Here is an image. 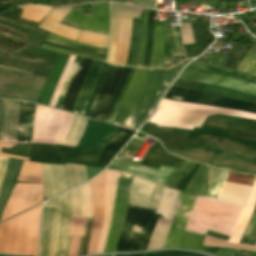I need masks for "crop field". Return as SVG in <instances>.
<instances>
[{
	"mask_svg": "<svg viewBox=\"0 0 256 256\" xmlns=\"http://www.w3.org/2000/svg\"><path fill=\"white\" fill-rule=\"evenodd\" d=\"M46 205L57 206V210H56V214H55V220H54V227H53L51 251H50V256H54L55 255V245H56L58 219H59V213H60V196L51 200V201H49Z\"/></svg>",
	"mask_w": 256,
	"mask_h": 256,
	"instance_id": "crop-field-42",
	"label": "crop field"
},
{
	"mask_svg": "<svg viewBox=\"0 0 256 256\" xmlns=\"http://www.w3.org/2000/svg\"><path fill=\"white\" fill-rule=\"evenodd\" d=\"M46 41L53 42V43L60 44V45H64V46H68V47H72V48H76V49H80V50H84V51L97 52V53H103V54L106 53V52H104V51H98V50H92V49H86V48L75 47V46H73V45H68V44L60 43V42L53 41V40H49V39H46Z\"/></svg>",
	"mask_w": 256,
	"mask_h": 256,
	"instance_id": "crop-field-57",
	"label": "crop field"
},
{
	"mask_svg": "<svg viewBox=\"0 0 256 256\" xmlns=\"http://www.w3.org/2000/svg\"><path fill=\"white\" fill-rule=\"evenodd\" d=\"M35 105L20 102L18 112L17 143H30Z\"/></svg>",
	"mask_w": 256,
	"mask_h": 256,
	"instance_id": "crop-field-23",
	"label": "crop field"
},
{
	"mask_svg": "<svg viewBox=\"0 0 256 256\" xmlns=\"http://www.w3.org/2000/svg\"><path fill=\"white\" fill-rule=\"evenodd\" d=\"M163 186L156 184L150 198L131 192L129 204L155 210L160 200ZM128 206V211L120 234L116 252L145 250L158 217L155 211Z\"/></svg>",
	"mask_w": 256,
	"mask_h": 256,
	"instance_id": "crop-field-2",
	"label": "crop field"
},
{
	"mask_svg": "<svg viewBox=\"0 0 256 256\" xmlns=\"http://www.w3.org/2000/svg\"><path fill=\"white\" fill-rule=\"evenodd\" d=\"M87 174H88V179L96 176L100 171L103 170V168H94V167H89L86 166Z\"/></svg>",
	"mask_w": 256,
	"mask_h": 256,
	"instance_id": "crop-field-58",
	"label": "crop field"
},
{
	"mask_svg": "<svg viewBox=\"0 0 256 256\" xmlns=\"http://www.w3.org/2000/svg\"><path fill=\"white\" fill-rule=\"evenodd\" d=\"M72 216L92 218V204L88 183L69 191Z\"/></svg>",
	"mask_w": 256,
	"mask_h": 256,
	"instance_id": "crop-field-22",
	"label": "crop field"
},
{
	"mask_svg": "<svg viewBox=\"0 0 256 256\" xmlns=\"http://www.w3.org/2000/svg\"><path fill=\"white\" fill-rule=\"evenodd\" d=\"M118 171L113 170H106V210H105V220H104V227L100 239V243L98 246V250L96 254H100L104 252L110 223L113 211V202H114V194L117 185L118 179Z\"/></svg>",
	"mask_w": 256,
	"mask_h": 256,
	"instance_id": "crop-field-18",
	"label": "crop field"
},
{
	"mask_svg": "<svg viewBox=\"0 0 256 256\" xmlns=\"http://www.w3.org/2000/svg\"><path fill=\"white\" fill-rule=\"evenodd\" d=\"M166 99L179 100L185 102H194L200 104L213 105L217 107L232 108L256 113V104L244 103L232 100L226 97L210 95L201 92H195L180 87L172 86L168 93L165 95ZM200 100L207 101L206 103Z\"/></svg>",
	"mask_w": 256,
	"mask_h": 256,
	"instance_id": "crop-field-12",
	"label": "crop field"
},
{
	"mask_svg": "<svg viewBox=\"0 0 256 256\" xmlns=\"http://www.w3.org/2000/svg\"><path fill=\"white\" fill-rule=\"evenodd\" d=\"M108 256H112V255H108Z\"/></svg>",
	"mask_w": 256,
	"mask_h": 256,
	"instance_id": "crop-field-66",
	"label": "crop field"
},
{
	"mask_svg": "<svg viewBox=\"0 0 256 256\" xmlns=\"http://www.w3.org/2000/svg\"><path fill=\"white\" fill-rule=\"evenodd\" d=\"M164 52V36L162 26H154L153 47L151 53L150 67L162 68Z\"/></svg>",
	"mask_w": 256,
	"mask_h": 256,
	"instance_id": "crop-field-30",
	"label": "crop field"
},
{
	"mask_svg": "<svg viewBox=\"0 0 256 256\" xmlns=\"http://www.w3.org/2000/svg\"><path fill=\"white\" fill-rule=\"evenodd\" d=\"M132 18L111 17L109 50L106 62L125 65Z\"/></svg>",
	"mask_w": 256,
	"mask_h": 256,
	"instance_id": "crop-field-13",
	"label": "crop field"
},
{
	"mask_svg": "<svg viewBox=\"0 0 256 256\" xmlns=\"http://www.w3.org/2000/svg\"><path fill=\"white\" fill-rule=\"evenodd\" d=\"M19 101L2 100L0 141L16 143Z\"/></svg>",
	"mask_w": 256,
	"mask_h": 256,
	"instance_id": "crop-field-17",
	"label": "crop field"
},
{
	"mask_svg": "<svg viewBox=\"0 0 256 256\" xmlns=\"http://www.w3.org/2000/svg\"><path fill=\"white\" fill-rule=\"evenodd\" d=\"M184 63L167 70L136 68L112 123L137 130Z\"/></svg>",
	"mask_w": 256,
	"mask_h": 256,
	"instance_id": "crop-field-1",
	"label": "crop field"
},
{
	"mask_svg": "<svg viewBox=\"0 0 256 256\" xmlns=\"http://www.w3.org/2000/svg\"><path fill=\"white\" fill-rule=\"evenodd\" d=\"M242 209L198 196L186 230L203 234L209 230L230 236Z\"/></svg>",
	"mask_w": 256,
	"mask_h": 256,
	"instance_id": "crop-field-4",
	"label": "crop field"
},
{
	"mask_svg": "<svg viewBox=\"0 0 256 256\" xmlns=\"http://www.w3.org/2000/svg\"><path fill=\"white\" fill-rule=\"evenodd\" d=\"M79 239H80V236H71L69 250H68V256H76L77 255Z\"/></svg>",
	"mask_w": 256,
	"mask_h": 256,
	"instance_id": "crop-field-53",
	"label": "crop field"
},
{
	"mask_svg": "<svg viewBox=\"0 0 256 256\" xmlns=\"http://www.w3.org/2000/svg\"><path fill=\"white\" fill-rule=\"evenodd\" d=\"M55 209L56 208H50L46 206L44 208L42 224H41V241H40L41 256H49Z\"/></svg>",
	"mask_w": 256,
	"mask_h": 256,
	"instance_id": "crop-field-29",
	"label": "crop field"
},
{
	"mask_svg": "<svg viewBox=\"0 0 256 256\" xmlns=\"http://www.w3.org/2000/svg\"><path fill=\"white\" fill-rule=\"evenodd\" d=\"M233 249L220 248L218 256H232Z\"/></svg>",
	"mask_w": 256,
	"mask_h": 256,
	"instance_id": "crop-field-62",
	"label": "crop field"
},
{
	"mask_svg": "<svg viewBox=\"0 0 256 256\" xmlns=\"http://www.w3.org/2000/svg\"><path fill=\"white\" fill-rule=\"evenodd\" d=\"M69 189L87 181L85 166L65 164Z\"/></svg>",
	"mask_w": 256,
	"mask_h": 256,
	"instance_id": "crop-field-34",
	"label": "crop field"
},
{
	"mask_svg": "<svg viewBox=\"0 0 256 256\" xmlns=\"http://www.w3.org/2000/svg\"><path fill=\"white\" fill-rule=\"evenodd\" d=\"M228 171L229 170L210 167L207 180L208 188L206 189V193L204 196L214 199L216 198Z\"/></svg>",
	"mask_w": 256,
	"mask_h": 256,
	"instance_id": "crop-field-31",
	"label": "crop field"
},
{
	"mask_svg": "<svg viewBox=\"0 0 256 256\" xmlns=\"http://www.w3.org/2000/svg\"><path fill=\"white\" fill-rule=\"evenodd\" d=\"M49 37H50V38H53V39H55V40H58V41H62V42H66V43H70V44H74V45H79V46H84V47L93 48V49H98V50H104V51L107 50V49H103V48H97V47H92V46H86V45L77 44V43H74V42H71V41H68V40L59 38V37H55V36H52V35H49Z\"/></svg>",
	"mask_w": 256,
	"mask_h": 256,
	"instance_id": "crop-field-59",
	"label": "crop field"
},
{
	"mask_svg": "<svg viewBox=\"0 0 256 256\" xmlns=\"http://www.w3.org/2000/svg\"><path fill=\"white\" fill-rule=\"evenodd\" d=\"M160 104L201 110V111H208V112H214V113H220V114H226V115L256 120V114H253V113L236 111V110H227V109L217 108L213 106L187 104V103L175 102V101H170L165 99H162ZM162 105L158 106L154 115L148 120V122L156 123L158 124V126H164V127H179V128L192 129L193 127H200V125L206 119L207 115L214 114V113L181 109V108L168 107V106H162Z\"/></svg>",
	"mask_w": 256,
	"mask_h": 256,
	"instance_id": "crop-field-3",
	"label": "crop field"
},
{
	"mask_svg": "<svg viewBox=\"0 0 256 256\" xmlns=\"http://www.w3.org/2000/svg\"><path fill=\"white\" fill-rule=\"evenodd\" d=\"M181 36L183 44L194 43L193 33L189 23L181 24Z\"/></svg>",
	"mask_w": 256,
	"mask_h": 256,
	"instance_id": "crop-field-51",
	"label": "crop field"
},
{
	"mask_svg": "<svg viewBox=\"0 0 256 256\" xmlns=\"http://www.w3.org/2000/svg\"><path fill=\"white\" fill-rule=\"evenodd\" d=\"M165 36V62L164 68L174 63V55H185L180 42L179 27L163 25Z\"/></svg>",
	"mask_w": 256,
	"mask_h": 256,
	"instance_id": "crop-field-25",
	"label": "crop field"
},
{
	"mask_svg": "<svg viewBox=\"0 0 256 256\" xmlns=\"http://www.w3.org/2000/svg\"><path fill=\"white\" fill-rule=\"evenodd\" d=\"M141 11V9L112 3L110 14L117 17H139Z\"/></svg>",
	"mask_w": 256,
	"mask_h": 256,
	"instance_id": "crop-field-39",
	"label": "crop field"
},
{
	"mask_svg": "<svg viewBox=\"0 0 256 256\" xmlns=\"http://www.w3.org/2000/svg\"><path fill=\"white\" fill-rule=\"evenodd\" d=\"M146 22H147V10H144L143 30H142V36H141V42H140V48H139V54H138V59H137L136 66H142V63H143L144 49H145V39H146Z\"/></svg>",
	"mask_w": 256,
	"mask_h": 256,
	"instance_id": "crop-field-48",
	"label": "crop field"
},
{
	"mask_svg": "<svg viewBox=\"0 0 256 256\" xmlns=\"http://www.w3.org/2000/svg\"><path fill=\"white\" fill-rule=\"evenodd\" d=\"M71 218L69 193L66 192L61 195V215L59 230L57 236L56 255L66 256L70 236H67L69 222Z\"/></svg>",
	"mask_w": 256,
	"mask_h": 256,
	"instance_id": "crop-field-21",
	"label": "crop field"
},
{
	"mask_svg": "<svg viewBox=\"0 0 256 256\" xmlns=\"http://www.w3.org/2000/svg\"><path fill=\"white\" fill-rule=\"evenodd\" d=\"M216 155L210 161V165L227 167L256 174V160L237 154L215 150Z\"/></svg>",
	"mask_w": 256,
	"mask_h": 256,
	"instance_id": "crop-field-19",
	"label": "crop field"
},
{
	"mask_svg": "<svg viewBox=\"0 0 256 256\" xmlns=\"http://www.w3.org/2000/svg\"><path fill=\"white\" fill-rule=\"evenodd\" d=\"M71 9L72 7L53 8L43 19L38 29L75 41L81 30L59 24Z\"/></svg>",
	"mask_w": 256,
	"mask_h": 256,
	"instance_id": "crop-field-16",
	"label": "crop field"
},
{
	"mask_svg": "<svg viewBox=\"0 0 256 256\" xmlns=\"http://www.w3.org/2000/svg\"><path fill=\"white\" fill-rule=\"evenodd\" d=\"M44 44L45 45H49V46H54V47H59V48L67 49V50L74 51V52L84 53V54H90V55H96V56H102V57L106 56V55H103V54L83 52V51H79V50H75V49H72V48H68V47H64V46H60V45H56V44H52V43H47V42H44Z\"/></svg>",
	"mask_w": 256,
	"mask_h": 256,
	"instance_id": "crop-field-55",
	"label": "crop field"
},
{
	"mask_svg": "<svg viewBox=\"0 0 256 256\" xmlns=\"http://www.w3.org/2000/svg\"><path fill=\"white\" fill-rule=\"evenodd\" d=\"M85 126L86 119L76 115L67 140L79 141L85 130Z\"/></svg>",
	"mask_w": 256,
	"mask_h": 256,
	"instance_id": "crop-field-41",
	"label": "crop field"
},
{
	"mask_svg": "<svg viewBox=\"0 0 256 256\" xmlns=\"http://www.w3.org/2000/svg\"><path fill=\"white\" fill-rule=\"evenodd\" d=\"M91 61L92 60L90 59H81L77 70L71 80L61 109L70 112Z\"/></svg>",
	"mask_w": 256,
	"mask_h": 256,
	"instance_id": "crop-field-24",
	"label": "crop field"
},
{
	"mask_svg": "<svg viewBox=\"0 0 256 256\" xmlns=\"http://www.w3.org/2000/svg\"><path fill=\"white\" fill-rule=\"evenodd\" d=\"M23 9L21 19L39 23L41 19L51 10L49 7L43 6H26L18 7Z\"/></svg>",
	"mask_w": 256,
	"mask_h": 256,
	"instance_id": "crop-field-36",
	"label": "crop field"
},
{
	"mask_svg": "<svg viewBox=\"0 0 256 256\" xmlns=\"http://www.w3.org/2000/svg\"><path fill=\"white\" fill-rule=\"evenodd\" d=\"M79 60H80V57H77V56H76L74 62L78 63ZM77 65H78V64H75V63L72 64L71 69H70V71H69V74H68V76H67L66 82H65V84H64V87H63L62 92H61L60 95H62V96L65 95L66 90H67L68 85H69V82H70V80H71V77H72V75H73V73H74V71H75ZM62 96L59 97L58 102H57V104H56L55 107H57V108L60 107L61 102H62V100H63V98H64V97H62Z\"/></svg>",
	"mask_w": 256,
	"mask_h": 256,
	"instance_id": "crop-field-50",
	"label": "crop field"
},
{
	"mask_svg": "<svg viewBox=\"0 0 256 256\" xmlns=\"http://www.w3.org/2000/svg\"><path fill=\"white\" fill-rule=\"evenodd\" d=\"M134 69H135V68H131L130 71H129V73H128V76H127V78H126V80H125V82H124V85H123V87H122V89H121V92H120V94H119V96H118V98H117V101H116V103H115V105H114V108H113V110H112V112H111V114H110V117H109L108 121H107V122H109V123H111L112 120H113V118H114V115H115V113H116V111H117V108H118V106H119V104H120V101H121V99H122V97H123V94H124V92H125V90H126V87H127L128 83H129V80H130V78H131V76H132V73H133Z\"/></svg>",
	"mask_w": 256,
	"mask_h": 256,
	"instance_id": "crop-field-49",
	"label": "crop field"
},
{
	"mask_svg": "<svg viewBox=\"0 0 256 256\" xmlns=\"http://www.w3.org/2000/svg\"><path fill=\"white\" fill-rule=\"evenodd\" d=\"M194 164L185 160L181 169L160 165L159 170H155L114 159L108 168L131 172L174 188L176 183L191 170Z\"/></svg>",
	"mask_w": 256,
	"mask_h": 256,
	"instance_id": "crop-field-9",
	"label": "crop field"
},
{
	"mask_svg": "<svg viewBox=\"0 0 256 256\" xmlns=\"http://www.w3.org/2000/svg\"><path fill=\"white\" fill-rule=\"evenodd\" d=\"M33 141V139H32ZM55 141V140H54ZM53 140H38V139H34L33 143H50L52 144ZM54 144V142H53Z\"/></svg>",
	"mask_w": 256,
	"mask_h": 256,
	"instance_id": "crop-field-64",
	"label": "crop field"
},
{
	"mask_svg": "<svg viewBox=\"0 0 256 256\" xmlns=\"http://www.w3.org/2000/svg\"><path fill=\"white\" fill-rule=\"evenodd\" d=\"M7 159L8 158L0 157V186H1L2 179H3Z\"/></svg>",
	"mask_w": 256,
	"mask_h": 256,
	"instance_id": "crop-field-60",
	"label": "crop field"
},
{
	"mask_svg": "<svg viewBox=\"0 0 256 256\" xmlns=\"http://www.w3.org/2000/svg\"><path fill=\"white\" fill-rule=\"evenodd\" d=\"M204 236L203 234L186 231L179 248L199 251Z\"/></svg>",
	"mask_w": 256,
	"mask_h": 256,
	"instance_id": "crop-field-38",
	"label": "crop field"
},
{
	"mask_svg": "<svg viewBox=\"0 0 256 256\" xmlns=\"http://www.w3.org/2000/svg\"><path fill=\"white\" fill-rule=\"evenodd\" d=\"M238 252H239V250L234 249L233 256H238Z\"/></svg>",
	"mask_w": 256,
	"mask_h": 256,
	"instance_id": "crop-field-65",
	"label": "crop field"
},
{
	"mask_svg": "<svg viewBox=\"0 0 256 256\" xmlns=\"http://www.w3.org/2000/svg\"><path fill=\"white\" fill-rule=\"evenodd\" d=\"M254 45L242 59L236 71L256 77V41L252 39Z\"/></svg>",
	"mask_w": 256,
	"mask_h": 256,
	"instance_id": "crop-field-35",
	"label": "crop field"
},
{
	"mask_svg": "<svg viewBox=\"0 0 256 256\" xmlns=\"http://www.w3.org/2000/svg\"><path fill=\"white\" fill-rule=\"evenodd\" d=\"M92 224H93V220L87 219L85 234H84V237H81V239H80L79 250H78L77 256L86 255L87 247H88V243H89V239H90V235H91V230H92Z\"/></svg>",
	"mask_w": 256,
	"mask_h": 256,
	"instance_id": "crop-field-45",
	"label": "crop field"
},
{
	"mask_svg": "<svg viewBox=\"0 0 256 256\" xmlns=\"http://www.w3.org/2000/svg\"><path fill=\"white\" fill-rule=\"evenodd\" d=\"M74 57H75V56H73V55L70 56V58H69V60H68V62H67V65H66V67H65V69H64V71H63V73H62V76H61V78H60V80H59V82H58V85H57V87H56V90H55V92H54V94H53V97H52V100H51L49 106H52V107L55 106L56 101H57L58 96H59V94H60V92H61V89H62V87H63L64 81H65V79H66L67 73H68V71H69V69H70V66H71V64H72V61H73Z\"/></svg>",
	"mask_w": 256,
	"mask_h": 256,
	"instance_id": "crop-field-46",
	"label": "crop field"
},
{
	"mask_svg": "<svg viewBox=\"0 0 256 256\" xmlns=\"http://www.w3.org/2000/svg\"><path fill=\"white\" fill-rule=\"evenodd\" d=\"M250 188L249 186L225 182L217 200L243 207Z\"/></svg>",
	"mask_w": 256,
	"mask_h": 256,
	"instance_id": "crop-field-27",
	"label": "crop field"
},
{
	"mask_svg": "<svg viewBox=\"0 0 256 256\" xmlns=\"http://www.w3.org/2000/svg\"><path fill=\"white\" fill-rule=\"evenodd\" d=\"M91 189L93 207H94V224L91 235L90 245L87 255L95 254L97 243L103 223L105 209V171L97 178L88 182Z\"/></svg>",
	"mask_w": 256,
	"mask_h": 256,
	"instance_id": "crop-field-15",
	"label": "crop field"
},
{
	"mask_svg": "<svg viewBox=\"0 0 256 256\" xmlns=\"http://www.w3.org/2000/svg\"><path fill=\"white\" fill-rule=\"evenodd\" d=\"M91 5L92 9L74 8L62 21V23L76 28L108 35L109 3H97ZM82 10H92V13L89 15H84L82 14Z\"/></svg>",
	"mask_w": 256,
	"mask_h": 256,
	"instance_id": "crop-field-11",
	"label": "crop field"
},
{
	"mask_svg": "<svg viewBox=\"0 0 256 256\" xmlns=\"http://www.w3.org/2000/svg\"><path fill=\"white\" fill-rule=\"evenodd\" d=\"M119 131L126 132L124 136L118 138L113 143H109L108 146L103 151L100 160L98 162L99 167H106L110 160L115 156V154L121 149V147L126 143V141L132 136L133 131L118 128Z\"/></svg>",
	"mask_w": 256,
	"mask_h": 256,
	"instance_id": "crop-field-32",
	"label": "crop field"
},
{
	"mask_svg": "<svg viewBox=\"0 0 256 256\" xmlns=\"http://www.w3.org/2000/svg\"><path fill=\"white\" fill-rule=\"evenodd\" d=\"M255 221H256V207L253 211L250 222H249V224H248V226H247V228H246V230H245V232H244V234H243L239 243H243V244L247 243Z\"/></svg>",
	"mask_w": 256,
	"mask_h": 256,
	"instance_id": "crop-field-52",
	"label": "crop field"
},
{
	"mask_svg": "<svg viewBox=\"0 0 256 256\" xmlns=\"http://www.w3.org/2000/svg\"><path fill=\"white\" fill-rule=\"evenodd\" d=\"M23 161L9 158L4 179L0 189V219L2 217L4 206L11 193L14 181Z\"/></svg>",
	"mask_w": 256,
	"mask_h": 256,
	"instance_id": "crop-field-26",
	"label": "crop field"
},
{
	"mask_svg": "<svg viewBox=\"0 0 256 256\" xmlns=\"http://www.w3.org/2000/svg\"><path fill=\"white\" fill-rule=\"evenodd\" d=\"M110 66L104 62L92 61L72 113L89 117Z\"/></svg>",
	"mask_w": 256,
	"mask_h": 256,
	"instance_id": "crop-field-7",
	"label": "crop field"
},
{
	"mask_svg": "<svg viewBox=\"0 0 256 256\" xmlns=\"http://www.w3.org/2000/svg\"><path fill=\"white\" fill-rule=\"evenodd\" d=\"M154 185L146 179L135 176L130 190L149 197Z\"/></svg>",
	"mask_w": 256,
	"mask_h": 256,
	"instance_id": "crop-field-40",
	"label": "crop field"
},
{
	"mask_svg": "<svg viewBox=\"0 0 256 256\" xmlns=\"http://www.w3.org/2000/svg\"><path fill=\"white\" fill-rule=\"evenodd\" d=\"M256 205V176L243 212L228 241L238 243Z\"/></svg>",
	"mask_w": 256,
	"mask_h": 256,
	"instance_id": "crop-field-28",
	"label": "crop field"
},
{
	"mask_svg": "<svg viewBox=\"0 0 256 256\" xmlns=\"http://www.w3.org/2000/svg\"><path fill=\"white\" fill-rule=\"evenodd\" d=\"M208 168L209 166L200 164L184 192H179L174 219L164 248H178L196 197L197 195L203 196L205 193Z\"/></svg>",
	"mask_w": 256,
	"mask_h": 256,
	"instance_id": "crop-field-6",
	"label": "crop field"
},
{
	"mask_svg": "<svg viewBox=\"0 0 256 256\" xmlns=\"http://www.w3.org/2000/svg\"><path fill=\"white\" fill-rule=\"evenodd\" d=\"M108 36L83 30L77 42L107 48Z\"/></svg>",
	"mask_w": 256,
	"mask_h": 256,
	"instance_id": "crop-field-37",
	"label": "crop field"
},
{
	"mask_svg": "<svg viewBox=\"0 0 256 256\" xmlns=\"http://www.w3.org/2000/svg\"><path fill=\"white\" fill-rule=\"evenodd\" d=\"M130 67L111 66L89 118L106 122Z\"/></svg>",
	"mask_w": 256,
	"mask_h": 256,
	"instance_id": "crop-field-8",
	"label": "crop field"
},
{
	"mask_svg": "<svg viewBox=\"0 0 256 256\" xmlns=\"http://www.w3.org/2000/svg\"><path fill=\"white\" fill-rule=\"evenodd\" d=\"M180 79L227 87L256 95V78L221 67L206 66L191 62Z\"/></svg>",
	"mask_w": 256,
	"mask_h": 256,
	"instance_id": "crop-field-5",
	"label": "crop field"
},
{
	"mask_svg": "<svg viewBox=\"0 0 256 256\" xmlns=\"http://www.w3.org/2000/svg\"><path fill=\"white\" fill-rule=\"evenodd\" d=\"M42 47H43V48H46V49H50V50H56V51H61V52L69 53V54H74V55H80V56H86V57L96 58V59H100V60L104 61V58H101V57H95V56H90V55H84V54L74 53V52H70V51H67V50L58 49V48L49 47V46H44V45H42Z\"/></svg>",
	"mask_w": 256,
	"mask_h": 256,
	"instance_id": "crop-field-56",
	"label": "crop field"
},
{
	"mask_svg": "<svg viewBox=\"0 0 256 256\" xmlns=\"http://www.w3.org/2000/svg\"><path fill=\"white\" fill-rule=\"evenodd\" d=\"M43 176L46 200L67 190L63 165L43 164Z\"/></svg>",
	"mask_w": 256,
	"mask_h": 256,
	"instance_id": "crop-field-20",
	"label": "crop field"
},
{
	"mask_svg": "<svg viewBox=\"0 0 256 256\" xmlns=\"http://www.w3.org/2000/svg\"><path fill=\"white\" fill-rule=\"evenodd\" d=\"M131 174L120 172L115 194L114 211L111 228L104 253L115 252L119 234L127 211L129 189L132 183Z\"/></svg>",
	"mask_w": 256,
	"mask_h": 256,
	"instance_id": "crop-field-10",
	"label": "crop field"
},
{
	"mask_svg": "<svg viewBox=\"0 0 256 256\" xmlns=\"http://www.w3.org/2000/svg\"><path fill=\"white\" fill-rule=\"evenodd\" d=\"M86 219L72 217L68 235L83 236Z\"/></svg>",
	"mask_w": 256,
	"mask_h": 256,
	"instance_id": "crop-field-47",
	"label": "crop field"
},
{
	"mask_svg": "<svg viewBox=\"0 0 256 256\" xmlns=\"http://www.w3.org/2000/svg\"><path fill=\"white\" fill-rule=\"evenodd\" d=\"M176 190L164 188L162 198L158 205L156 213L167 215L166 220L158 219L157 225L146 250L163 248L168 230L173 219L175 204L178 196Z\"/></svg>",
	"mask_w": 256,
	"mask_h": 256,
	"instance_id": "crop-field-14",
	"label": "crop field"
},
{
	"mask_svg": "<svg viewBox=\"0 0 256 256\" xmlns=\"http://www.w3.org/2000/svg\"><path fill=\"white\" fill-rule=\"evenodd\" d=\"M113 256H204L201 254L190 253L186 251H158L144 254H126V255H113Z\"/></svg>",
	"mask_w": 256,
	"mask_h": 256,
	"instance_id": "crop-field-43",
	"label": "crop field"
},
{
	"mask_svg": "<svg viewBox=\"0 0 256 256\" xmlns=\"http://www.w3.org/2000/svg\"><path fill=\"white\" fill-rule=\"evenodd\" d=\"M55 144H62V145H67V146L75 147L77 142L56 140Z\"/></svg>",
	"mask_w": 256,
	"mask_h": 256,
	"instance_id": "crop-field-63",
	"label": "crop field"
},
{
	"mask_svg": "<svg viewBox=\"0 0 256 256\" xmlns=\"http://www.w3.org/2000/svg\"><path fill=\"white\" fill-rule=\"evenodd\" d=\"M141 29H142V18H133V25H132V33L128 48V56L126 65H133L136 64L137 59V51L141 36Z\"/></svg>",
	"mask_w": 256,
	"mask_h": 256,
	"instance_id": "crop-field-33",
	"label": "crop field"
},
{
	"mask_svg": "<svg viewBox=\"0 0 256 256\" xmlns=\"http://www.w3.org/2000/svg\"><path fill=\"white\" fill-rule=\"evenodd\" d=\"M218 250H219V248L203 247L201 251L217 256Z\"/></svg>",
	"mask_w": 256,
	"mask_h": 256,
	"instance_id": "crop-field-61",
	"label": "crop field"
},
{
	"mask_svg": "<svg viewBox=\"0 0 256 256\" xmlns=\"http://www.w3.org/2000/svg\"><path fill=\"white\" fill-rule=\"evenodd\" d=\"M127 4H129V3H127ZM129 5H134V6H138V7H144V8H153L155 5V2L134 0L133 4H129Z\"/></svg>",
	"mask_w": 256,
	"mask_h": 256,
	"instance_id": "crop-field-54",
	"label": "crop field"
},
{
	"mask_svg": "<svg viewBox=\"0 0 256 256\" xmlns=\"http://www.w3.org/2000/svg\"><path fill=\"white\" fill-rule=\"evenodd\" d=\"M152 11L148 10V24H147V39H146V51L143 66L148 67L151 53V39H152Z\"/></svg>",
	"mask_w": 256,
	"mask_h": 256,
	"instance_id": "crop-field-44",
	"label": "crop field"
}]
</instances>
